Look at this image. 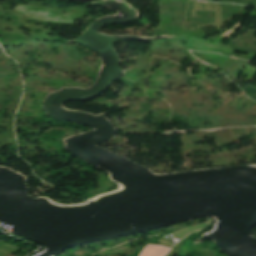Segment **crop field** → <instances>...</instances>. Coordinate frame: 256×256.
<instances>
[{"instance_id": "crop-field-1", "label": "crop field", "mask_w": 256, "mask_h": 256, "mask_svg": "<svg viewBox=\"0 0 256 256\" xmlns=\"http://www.w3.org/2000/svg\"><path fill=\"white\" fill-rule=\"evenodd\" d=\"M170 248L164 246L148 245L139 256H165Z\"/></svg>"}]
</instances>
